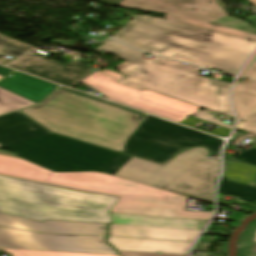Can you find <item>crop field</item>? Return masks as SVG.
<instances>
[{
	"label": "crop field",
	"mask_w": 256,
	"mask_h": 256,
	"mask_svg": "<svg viewBox=\"0 0 256 256\" xmlns=\"http://www.w3.org/2000/svg\"><path fill=\"white\" fill-rule=\"evenodd\" d=\"M52 42L59 43V44H70V43H74V40H56V39H54Z\"/></svg>",
	"instance_id": "750c4746"
},
{
	"label": "crop field",
	"mask_w": 256,
	"mask_h": 256,
	"mask_svg": "<svg viewBox=\"0 0 256 256\" xmlns=\"http://www.w3.org/2000/svg\"><path fill=\"white\" fill-rule=\"evenodd\" d=\"M23 98L0 88V115L36 104Z\"/></svg>",
	"instance_id": "214f88e0"
},
{
	"label": "crop field",
	"mask_w": 256,
	"mask_h": 256,
	"mask_svg": "<svg viewBox=\"0 0 256 256\" xmlns=\"http://www.w3.org/2000/svg\"><path fill=\"white\" fill-rule=\"evenodd\" d=\"M0 145L55 172L98 171L142 183L161 167L52 134L18 111L0 116Z\"/></svg>",
	"instance_id": "ac0d7876"
},
{
	"label": "crop field",
	"mask_w": 256,
	"mask_h": 256,
	"mask_svg": "<svg viewBox=\"0 0 256 256\" xmlns=\"http://www.w3.org/2000/svg\"><path fill=\"white\" fill-rule=\"evenodd\" d=\"M112 38L146 52L230 75H235L256 49L255 41L140 15H135Z\"/></svg>",
	"instance_id": "34b2d1b8"
},
{
	"label": "crop field",
	"mask_w": 256,
	"mask_h": 256,
	"mask_svg": "<svg viewBox=\"0 0 256 256\" xmlns=\"http://www.w3.org/2000/svg\"><path fill=\"white\" fill-rule=\"evenodd\" d=\"M240 77L251 78L248 83L235 82L233 101L239 122L238 129L256 134V58ZM240 120H245L240 123Z\"/></svg>",
	"instance_id": "22f410ed"
},
{
	"label": "crop field",
	"mask_w": 256,
	"mask_h": 256,
	"mask_svg": "<svg viewBox=\"0 0 256 256\" xmlns=\"http://www.w3.org/2000/svg\"><path fill=\"white\" fill-rule=\"evenodd\" d=\"M181 123H184V124H187L189 126H192V127H199L200 125H202L203 123H206V122H201L199 120H197L196 118L192 117V116H189L187 117L186 119H184ZM216 126V125H215ZM229 132L230 130L229 129H226V128H223V127H220V126H217L215 129H213L211 132V134H216L218 136H224V137H227L229 135Z\"/></svg>",
	"instance_id": "a9b5d70f"
},
{
	"label": "crop field",
	"mask_w": 256,
	"mask_h": 256,
	"mask_svg": "<svg viewBox=\"0 0 256 256\" xmlns=\"http://www.w3.org/2000/svg\"><path fill=\"white\" fill-rule=\"evenodd\" d=\"M250 23H252L253 25H255V26H256V19H255V20L250 21Z\"/></svg>",
	"instance_id": "1d83c4d3"
},
{
	"label": "crop field",
	"mask_w": 256,
	"mask_h": 256,
	"mask_svg": "<svg viewBox=\"0 0 256 256\" xmlns=\"http://www.w3.org/2000/svg\"><path fill=\"white\" fill-rule=\"evenodd\" d=\"M224 177L232 178L244 184L254 185L256 184V168L237 164L231 160H226Z\"/></svg>",
	"instance_id": "4a817a6b"
},
{
	"label": "crop field",
	"mask_w": 256,
	"mask_h": 256,
	"mask_svg": "<svg viewBox=\"0 0 256 256\" xmlns=\"http://www.w3.org/2000/svg\"><path fill=\"white\" fill-rule=\"evenodd\" d=\"M254 187H256V185Z\"/></svg>",
	"instance_id": "5866460e"
},
{
	"label": "crop field",
	"mask_w": 256,
	"mask_h": 256,
	"mask_svg": "<svg viewBox=\"0 0 256 256\" xmlns=\"http://www.w3.org/2000/svg\"><path fill=\"white\" fill-rule=\"evenodd\" d=\"M84 84L90 86L91 88H94V89L98 90L101 93L109 89V88H106L104 86L98 85V84L93 83V82H87V83H84Z\"/></svg>",
	"instance_id": "d3111659"
},
{
	"label": "crop field",
	"mask_w": 256,
	"mask_h": 256,
	"mask_svg": "<svg viewBox=\"0 0 256 256\" xmlns=\"http://www.w3.org/2000/svg\"><path fill=\"white\" fill-rule=\"evenodd\" d=\"M0 154H4V155H9V156L17 157V155H16V154H14V153H9V152H3V151H0Z\"/></svg>",
	"instance_id": "bd1437ed"
},
{
	"label": "crop field",
	"mask_w": 256,
	"mask_h": 256,
	"mask_svg": "<svg viewBox=\"0 0 256 256\" xmlns=\"http://www.w3.org/2000/svg\"><path fill=\"white\" fill-rule=\"evenodd\" d=\"M122 75L108 69L98 71L82 82L93 81L111 88L103 93L108 100L116 101L177 122L200 107L144 89L143 91L115 83Z\"/></svg>",
	"instance_id": "5a996713"
},
{
	"label": "crop field",
	"mask_w": 256,
	"mask_h": 256,
	"mask_svg": "<svg viewBox=\"0 0 256 256\" xmlns=\"http://www.w3.org/2000/svg\"><path fill=\"white\" fill-rule=\"evenodd\" d=\"M0 148H1V146H0Z\"/></svg>",
	"instance_id": "028f5c9d"
},
{
	"label": "crop field",
	"mask_w": 256,
	"mask_h": 256,
	"mask_svg": "<svg viewBox=\"0 0 256 256\" xmlns=\"http://www.w3.org/2000/svg\"><path fill=\"white\" fill-rule=\"evenodd\" d=\"M99 50L112 53L129 63L117 65L125 75L117 83L167 96L233 117L228 102L231 83L199 76L198 67L156 57L146 60L144 53L108 40Z\"/></svg>",
	"instance_id": "f4fd0767"
},
{
	"label": "crop field",
	"mask_w": 256,
	"mask_h": 256,
	"mask_svg": "<svg viewBox=\"0 0 256 256\" xmlns=\"http://www.w3.org/2000/svg\"><path fill=\"white\" fill-rule=\"evenodd\" d=\"M121 256H187V255H174V254H157V253H145V252H127L119 251Z\"/></svg>",
	"instance_id": "ae1a2a85"
},
{
	"label": "crop field",
	"mask_w": 256,
	"mask_h": 256,
	"mask_svg": "<svg viewBox=\"0 0 256 256\" xmlns=\"http://www.w3.org/2000/svg\"><path fill=\"white\" fill-rule=\"evenodd\" d=\"M53 133L163 164L188 146L218 153L222 140L148 115H139L56 90L40 105L21 110Z\"/></svg>",
	"instance_id": "8a807250"
},
{
	"label": "crop field",
	"mask_w": 256,
	"mask_h": 256,
	"mask_svg": "<svg viewBox=\"0 0 256 256\" xmlns=\"http://www.w3.org/2000/svg\"><path fill=\"white\" fill-rule=\"evenodd\" d=\"M59 89H61L63 91H67V92H71V93L77 94V95L85 97L87 99L96 100V101H99V102H102V103H105V104H108V105H112V106H115V107H118V108H121V109H125V110L131 111V112H135V113H138V114H141V115L145 116V113H142V112H139V111L127 108V107H123V106H120V105H117V104H114V103H110V102H107V101L99 100V99L94 98V97L89 96V95L81 94V93H78V92H75V91L63 88V87H59Z\"/></svg>",
	"instance_id": "eef30255"
},
{
	"label": "crop field",
	"mask_w": 256,
	"mask_h": 256,
	"mask_svg": "<svg viewBox=\"0 0 256 256\" xmlns=\"http://www.w3.org/2000/svg\"><path fill=\"white\" fill-rule=\"evenodd\" d=\"M116 199L0 176V212L40 221L110 223Z\"/></svg>",
	"instance_id": "dd49c442"
},
{
	"label": "crop field",
	"mask_w": 256,
	"mask_h": 256,
	"mask_svg": "<svg viewBox=\"0 0 256 256\" xmlns=\"http://www.w3.org/2000/svg\"><path fill=\"white\" fill-rule=\"evenodd\" d=\"M11 71L13 70L0 66V79ZM0 87L38 103L44 96L57 87V85L15 72L0 82Z\"/></svg>",
	"instance_id": "cbeb9de0"
},
{
	"label": "crop field",
	"mask_w": 256,
	"mask_h": 256,
	"mask_svg": "<svg viewBox=\"0 0 256 256\" xmlns=\"http://www.w3.org/2000/svg\"><path fill=\"white\" fill-rule=\"evenodd\" d=\"M7 253H12V256H118L90 253H73V252H54V251H36V250H15L1 249Z\"/></svg>",
	"instance_id": "dafd665d"
},
{
	"label": "crop field",
	"mask_w": 256,
	"mask_h": 256,
	"mask_svg": "<svg viewBox=\"0 0 256 256\" xmlns=\"http://www.w3.org/2000/svg\"><path fill=\"white\" fill-rule=\"evenodd\" d=\"M192 116L202 119L204 121L216 124V125H220V126L229 128V129L232 128L231 126H229L225 123L213 120L215 117L213 115L208 114V110H198L194 114H192Z\"/></svg>",
	"instance_id": "4177f3b9"
},
{
	"label": "crop field",
	"mask_w": 256,
	"mask_h": 256,
	"mask_svg": "<svg viewBox=\"0 0 256 256\" xmlns=\"http://www.w3.org/2000/svg\"><path fill=\"white\" fill-rule=\"evenodd\" d=\"M111 223L203 229L208 221L109 213Z\"/></svg>",
	"instance_id": "733c2abd"
},
{
	"label": "crop field",
	"mask_w": 256,
	"mask_h": 256,
	"mask_svg": "<svg viewBox=\"0 0 256 256\" xmlns=\"http://www.w3.org/2000/svg\"><path fill=\"white\" fill-rule=\"evenodd\" d=\"M119 5L167 13L169 20L256 41V29L242 20L227 16L217 0H124Z\"/></svg>",
	"instance_id": "d8731c3e"
},
{
	"label": "crop field",
	"mask_w": 256,
	"mask_h": 256,
	"mask_svg": "<svg viewBox=\"0 0 256 256\" xmlns=\"http://www.w3.org/2000/svg\"><path fill=\"white\" fill-rule=\"evenodd\" d=\"M241 256H256V226H250L240 239Z\"/></svg>",
	"instance_id": "00972430"
},
{
	"label": "crop field",
	"mask_w": 256,
	"mask_h": 256,
	"mask_svg": "<svg viewBox=\"0 0 256 256\" xmlns=\"http://www.w3.org/2000/svg\"><path fill=\"white\" fill-rule=\"evenodd\" d=\"M0 175L119 196L110 212L209 220L213 213L183 211L187 197L98 172L54 173L20 158L0 155Z\"/></svg>",
	"instance_id": "412701ff"
},
{
	"label": "crop field",
	"mask_w": 256,
	"mask_h": 256,
	"mask_svg": "<svg viewBox=\"0 0 256 256\" xmlns=\"http://www.w3.org/2000/svg\"><path fill=\"white\" fill-rule=\"evenodd\" d=\"M201 230L111 224L110 236L194 241Z\"/></svg>",
	"instance_id": "5142ce71"
},
{
	"label": "crop field",
	"mask_w": 256,
	"mask_h": 256,
	"mask_svg": "<svg viewBox=\"0 0 256 256\" xmlns=\"http://www.w3.org/2000/svg\"><path fill=\"white\" fill-rule=\"evenodd\" d=\"M0 248L116 254L103 237L54 235L0 228Z\"/></svg>",
	"instance_id": "3316defc"
},
{
	"label": "crop field",
	"mask_w": 256,
	"mask_h": 256,
	"mask_svg": "<svg viewBox=\"0 0 256 256\" xmlns=\"http://www.w3.org/2000/svg\"><path fill=\"white\" fill-rule=\"evenodd\" d=\"M33 48L34 47L0 35V55L5 53L17 58Z\"/></svg>",
	"instance_id": "92a150f3"
},
{
	"label": "crop field",
	"mask_w": 256,
	"mask_h": 256,
	"mask_svg": "<svg viewBox=\"0 0 256 256\" xmlns=\"http://www.w3.org/2000/svg\"><path fill=\"white\" fill-rule=\"evenodd\" d=\"M252 147H256V143H255V145H254V146H252Z\"/></svg>",
	"instance_id": "d32e631a"
},
{
	"label": "crop field",
	"mask_w": 256,
	"mask_h": 256,
	"mask_svg": "<svg viewBox=\"0 0 256 256\" xmlns=\"http://www.w3.org/2000/svg\"><path fill=\"white\" fill-rule=\"evenodd\" d=\"M249 1L252 2L256 6V0H249Z\"/></svg>",
	"instance_id": "120bbe31"
},
{
	"label": "crop field",
	"mask_w": 256,
	"mask_h": 256,
	"mask_svg": "<svg viewBox=\"0 0 256 256\" xmlns=\"http://www.w3.org/2000/svg\"><path fill=\"white\" fill-rule=\"evenodd\" d=\"M206 148H189L162 166L143 184L213 204L218 160L206 159Z\"/></svg>",
	"instance_id": "e52e79f7"
},
{
	"label": "crop field",
	"mask_w": 256,
	"mask_h": 256,
	"mask_svg": "<svg viewBox=\"0 0 256 256\" xmlns=\"http://www.w3.org/2000/svg\"><path fill=\"white\" fill-rule=\"evenodd\" d=\"M0 226L39 232L104 235L105 224L46 220L44 222L0 213Z\"/></svg>",
	"instance_id": "d1516ede"
},
{
	"label": "crop field",
	"mask_w": 256,
	"mask_h": 256,
	"mask_svg": "<svg viewBox=\"0 0 256 256\" xmlns=\"http://www.w3.org/2000/svg\"><path fill=\"white\" fill-rule=\"evenodd\" d=\"M9 66L41 76L43 78L70 86L91 73L82 62L73 61L62 67L32 52L13 62Z\"/></svg>",
	"instance_id": "28ad6ade"
},
{
	"label": "crop field",
	"mask_w": 256,
	"mask_h": 256,
	"mask_svg": "<svg viewBox=\"0 0 256 256\" xmlns=\"http://www.w3.org/2000/svg\"><path fill=\"white\" fill-rule=\"evenodd\" d=\"M234 159L253 163L256 165V149L252 148L250 150H243L240 154H238Z\"/></svg>",
	"instance_id": "730fd06b"
},
{
	"label": "crop field",
	"mask_w": 256,
	"mask_h": 256,
	"mask_svg": "<svg viewBox=\"0 0 256 256\" xmlns=\"http://www.w3.org/2000/svg\"><path fill=\"white\" fill-rule=\"evenodd\" d=\"M108 241L115 246L117 250L127 251H146L187 254L192 243L180 241L148 240L110 237Z\"/></svg>",
	"instance_id": "d9b57169"
},
{
	"label": "crop field",
	"mask_w": 256,
	"mask_h": 256,
	"mask_svg": "<svg viewBox=\"0 0 256 256\" xmlns=\"http://www.w3.org/2000/svg\"><path fill=\"white\" fill-rule=\"evenodd\" d=\"M218 191L228 193L249 201H256V188L244 185L229 178H223L221 180Z\"/></svg>",
	"instance_id": "bc2a9ffb"
}]
</instances>
